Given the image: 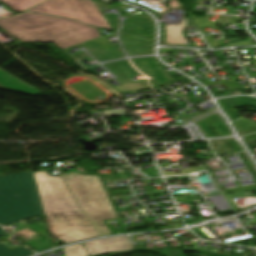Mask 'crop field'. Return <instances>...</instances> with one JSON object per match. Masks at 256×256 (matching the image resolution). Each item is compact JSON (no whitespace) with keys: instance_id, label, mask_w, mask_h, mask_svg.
Masks as SVG:
<instances>
[{"instance_id":"5","label":"crop field","mask_w":256,"mask_h":256,"mask_svg":"<svg viewBox=\"0 0 256 256\" xmlns=\"http://www.w3.org/2000/svg\"><path fill=\"white\" fill-rule=\"evenodd\" d=\"M0 195L43 214L33 172L0 177Z\"/></svg>"},{"instance_id":"9","label":"crop field","mask_w":256,"mask_h":256,"mask_svg":"<svg viewBox=\"0 0 256 256\" xmlns=\"http://www.w3.org/2000/svg\"><path fill=\"white\" fill-rule=\"evenodd\" d=\"M185 18H181L179 24H167L166 27V37L165 40L171 45L187 44L188 41L183 36L182 32L185 27H182V23Z\"/></svg>"},{"instance_id":"3","label":"crop field","mask_w":256,"mask_h":256,"mask_svg":"<svg viewBox=\"0 0 256 256\" xmlns=\"http://www.w3.org/2000/svg\"><path fill=\"white\" fill-rule=\"evenodd\" d=\"M63 177L70 186L84 212L104 235L113 233L103 220L119 218L100 177L79 173H64Z\"/></svg>"},{"instance_id":"12","label":"crop field","mask_w":256,"mask_h":256,"mask_svg":"<svg viewBox=\"0 0 256 256\" xmlns=\"http://www.w3.org/2000/svg\"><path fill=\"white\" fill-rule=\"evenodd\" d=\"M64 251L66 256H88L82 243L66 247Z\"/></svg>"},{"instance_id":"8","label":"crop field","mask_w":256,"mask_h":256,"mask_svg":"<svg viewBox=\"0 0 256 256\" xmlns=\"http://www.w3.org/2000/svg\"><path fill=\"white\" fill-rule=\"evenodd\" d=\"M0 88L13 91H19L30 95H38L39 92L29 84L9 74L0 68Z\"/></svg>"},{"instance_id":"1","label":"crop field","mask_w":256,"mask_h":256,"mask_svg":"<svg viewBox=\"0 0 256 256\" xmlns=\"http://www.w3.org/2000/svg\"><path fill=\"white\" fill-rule=\"evenodd\" d=\"M34 174L50 235L65 244L100 236L77 206L61 176H50L47 170Z\"/></svg>"},{"instance_id":"6","label":"crop field","mask_w":256,"mask_h":256,"mask_svg":"<svg viewBox=\"0 0 256 256\" xmlns=\"http://www.w3.org/2000/svg\"><path fill=\"white\" fill-rule=\"evenodd\" d=\"M90 256L105 252H119L133 249L127 236L84 243Z\"/></svg>"},{"instance_id":"2","label":"crop field","mask_w":256,"mask_h":256,"mask_svg":"<svg viewBox=\"0 0 256 256\" xmlns=\"http://www.w3.org/2000/svg\"><path fill=\"white\" fill-rule=\"evenodd\" d=\"M0 27L21 42H52L62 49L100 37L95 27L27 12L1 18Z\"/></svg>"},{"instance_id":"10","label":"crop field","mask_w":256,"mask_h":256,"mask_svg":"<svg viewBox=\"0 0 256 256\" xmlns=\"http://www.w3.org/2000/svg\"><path fill=\"white\" fill-rule=\"evenodd\" d=\"M16 13L25 11L44 0H0Z\"/></svg>"},{"instance_id":"11","label":"crop field","mask_w":256,"mask_h":256,"mask_svg":"<svg viewBox=\"0 0 256 256\" xmlns=\"http://www.w3.org/2000/svg\"><path fill=\"white\" fill-rule=\"evenodd\" d=\"M4 235H6V233L0 227V237H2ZM31 254H34V253L22 246L11 250V249L0 244V256H29Z\"/></svg>"},{"instance_id":"13","label":"crop field","mask_w":256,"mask_h":256,"mask_svg":"<svg viewBox=\"0 0 256 256\" xmlns=\"http://www.w3.org/2000/svg\"><path fill=\"white\" fill-rule=\"evenodd\" d=\"M170 6L174 9V8L180 6V5H179V3L177 2V0H172L171 3H170Z\"/></svg>"},{"instance_id":"4","label":"crop field","mask_w":256,"mask_h":256,"mask_svg":"<svg viewBox=\"0 0 256 256\" xmlns=\"http://www.w3.org/2000/svg\"><path fill=\"white\" fill-rule=\"evenodd\" d=\"M29 11L79 20L91 26L111 30L93 0H49Z\"/></svg>"},{"instance_id":"7","label":"crop field","mask_w":256,"mask_h":256,"mask_svg":"<svg viewBox=\"0 0 256 256\" xmlns=\"http://www.w3.org/2000/svg\"><path fill=\"white\" fill-rule=\"evenodd\" d=\"M34 216L38 215L0 196V225L5 226Z\"/></svg>"}]
</instances>
